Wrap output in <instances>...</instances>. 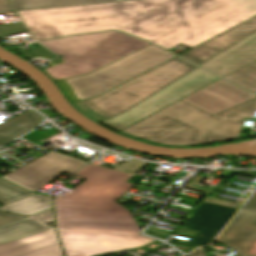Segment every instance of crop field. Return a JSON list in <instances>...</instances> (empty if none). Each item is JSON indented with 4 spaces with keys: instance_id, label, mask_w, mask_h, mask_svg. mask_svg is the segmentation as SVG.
<instances>
[{
    "instance_id": "obj_26",
    "label": "crop field",
    "mask_w": 256,
    "mask_h": 256,
    "mask_svg": "<svg viewBox=\"0 0 256 256\" xmlns=\"http://www.w3.org/2000/svg\"><path fill=\"white\" fill-rule=\"evenodd\" d=\"M10 6L7 0H0V14L10 12Z\"/></svg>"
},
{
    "instance_id": "obj_12",
    "label": "crop field",
    "mask_w": 256,
    "mask_h": 256,
    "mask_svg": "<svg viewBox=\"0 0 256 256\" xmlns=\"http://www.w3.org/2000/svg\"><path fill=\"white\" fill-rule=\"evenodd\" d=\"M237 211L236 208L203 203L185 225L200 231L194 237V244L211 243Z\"/></svg>"
},
{
    "instance_id": "obj_18",
    "label": "crop field",
    "mask_w": 256,
    "mask_h": 256,
    "mask_svg": "<svg viewBox=\"0 0 256 256\" xmlns=\"http://www.w3.org/2000/svg\"><path fill=\"white\" fill-rule=\"evenodd\" d=\"M224 78L252 92L256 91V61Z\"/></svg>"
},
{
    "instance_id": "obj_14",
    "label": "crop field",
    "mask_w": 256,
    "mask_h": 256,
    "mask_svg": "<svg viewBox=\"0 0 256 256\" xmlns=\"http://www.w3.org/2000/svg\"><path fill=\"white\" fill-rule=\"evenodd\" d=\"M256 60V32L200 65L222 77Z\"/></svg>"
},
{
    "instance_id": "obj_2",
    "label": "crop field",
    "mask_w": 256,
    "mask_h": 256,
    "mask_svg": "<svg viewBox=\"0 0 256 256\" xmlns=\"http://www.w3.org/2000/svg\"><path fill=\"white\" fill-rule=\"evenodd\" d=\"M75 176L86 181L54 200L67 256H95L154 241L139 236L133 217L114 202L133 186L125 183L132 175L88 164Z\"/></svg>"
},
{
    "instance_id": "obj_8",
    "label": "crop field",
    "mask_w": 256,
    "mask_h": 256,
    "mask_svg": "<svg viewBox=\"0 0 256 256\" xmlns=\"http://www.w3.org/2000/svg\"><path fill=\"white\" fill-rule=\"evenodd\" d=\"M0 256H63L55 232L32 219L0 228Z\"/></svg>"
},
{
    "instance_id": "obj_3",
    "label": "crop field",
    "mask_w": 256,
    "mask_h": 256,
    "mask_svg": "<svg viewBox=\"0 0 256 256\" xmlns=\"http://www.w3.org/2000/svg\"><path fill=\"white\" fill-rule=\"evenodd\" d=\"M255 110L256 98L214 116L180 100L121 132L166 146L211 144L236 139Z\"/></svg>"
},
{
    "instance_id": "obj_25",
    "label": "crop field",
    "mask_w": 256,
    "mask_h": 256,
    "mask_svg": "<svg viewBox=\"0 0 256 256\" xmlns=\"http://www.w3.org/2000/svg\"><path fill=\"white\" fill-rule=\"evenodd\" d=\"M204 202H210V203H215V204H221V205H226V206H231V207H236L239 208L240 205L234 204V203H229V202H224L220 200H215V199H207Z\"/></svg>"
},
{
    "instance_id": "obj_22",
    "label": "crop field",
    "mask_w": 256,
    "mask_h": 256,
    "mask_svg": "<svg viewBox=\"0 0 256 256\" xmlns=\"http://www.w3.org/2000/svg\"><path fill=\"white\" fill-rule=\"evenodd\" d=\"M59 88L62 92L68 97L69 101L74 102L78 101L79 99L74 95L70 85L66 83L64 80L57 81Z\"/></svg>"
},
{
    "instance_id": "obj_1",
    "label": "crop field",
    "mask_w": 256,
    "mask_h": 256,
    "mask_svg": "<svg viewBox=\"0 0 256 256\" xmlns=\"http://www.w3.org/2000/svg\"><path fill=\"white\" fill-rule=\"evenodd\" d=\"M37 40L121 30L190 48L256 15V0H137L17 12Z\"/></svg>"
},
{
    "instance_id": "obj_9",
    "label": "crop field",
    "mask_w": 256,
    "mask_h": 256,
    "mask_svg": "<svg viewBox=\"0 0 256 256\" xmlns=\"http://www.w3.org/2000/svg\"><path fill=\"white\" fill-rule=\"evenodd\" d=\"M84 164L85 162L51 151L1 178L25 190L36 192L47 182L63 173H74Z\"/></svg>"
},
{
    "instance_id": "obj_5",
    "label": "crop field",
    "mask_w": 256,
    "mask_h": 256,
    "mask_svg": "<svg viewBox=\"0 0 256 256\" xmlns=\"http://www.w3.org/2000/svg\"><path fill=\"white\" fill-rule=\"evenodd\" d=\"M195 67L176 57L101 96L73 104L93 120L102 122L137 105Z\"/></svg>"
},
{
    "instance_id": "obj_27",
    "label": "crop field",
    "mask_w": 256,
    "mask_h": 256,
    "mask_svg": "<svg viewBox=\"0 0 256 256\" xmlns=\"http://www.w3.org/2000/svg\"><path fill=\"white\" fill-rule=\"evenodd\" d=\"M250 253H251V254H256V245L254 246V248L251 250Z\"/></svg>"
},
{
    "instance_id": "obj_15",
    "label": "crop field",
    "mask_w": 256,
    "mask_h": 256,
    "mask_svg": "<svg viewBox=\"0 0 256 256\" xmlns=\"http://www.w3.org/2000/svg\"><path fill=\"white\" fill-rule=\"evenodd\" d=\"M41 122H42V120H40L35 113L28 111L12 120L0 125V145L10 141L14 137H16L26 131L34 128Z\"/></svg>"
},
{
    "instance_id": "obj_16",
    "label": "crop field",
    "mask_w": 256,
    "mask_h": 256,
    "mask_svg": "<svg viewBox=\"0 0 256 256\" xmlns=\"http://www.w3.org/2000/svg\"><path fill=\"white\" fill-rule=\"evenodd\" d=\"M127 0H12L16 11Z\"/></svg>"
},
{
    "instance_id": "obj_20",
    "label": "crop field",
    "mask_w": 256,
    "mask_h": 256,
    "mask_svg": "<svg viewBox=\"0 0 256 256\" xmlns=\"http://www.w3.org/2000/svg\"><path fill=\"white\" fill-rule=\"evenodd\" d=\"M203 177L204 175L197 174V176L194 179H192L188 184H186L184 187L208 194L214 188H209L203 185H199L198 183L203 179Z\"/></svg>"
},
{
    "instance_id": "obj_6",
    "label": "crop field",
    "mask_w": 256,
    "mask_h": 256,
    "mask_svg": "<svg viewBox=\"0 0 256 256\" xmlns=\"http://www.w3.org/2000/svg\"><path fill=\"white\" fill-rule=\"evenodd\" d=\"M176 56L153 45L134 52L90 74L69 79L76 96L89 99L101 95Z\"/></svg>"
},
{
    "instance_id": "obj_4",
    "label": "crop field",
    "mask_w": 256,
    "mask_h": 256,
    "mask_svg": "<svg viewBox=\"0 0 256 256\" xmlns=\"http://www.w3.org/2000/svg\"><path fill=\"white\" fill-rule=\"evenodd\" d=\"M40 44L64 56L65 63L44 69L54 81L92 72L150 45L118 32L55 39Z\"/></svg>"
},
{
    "instance_id": "obj_11",
    "label": "crop field",
    "mask_w": 256,
    "mask_h": 256,
    "mask_svg": "<svg viewBox=\"0 0 256 256\" xmlns=\"http://www.w3.org/2000/svg\"><path fill=\"white\" fill-rule=\"evenodd\" d=\"M255 97L221 79L182 100L214 115Z\"/></svg>"
},
{
    "instance_id": "obj_24",
    "label": "crop field",
    "mask_w": 256,
    "mask_h": 256,
    "mask_svg": "<svg viewBox=\"0 0 256 256\" xmlns=\"http://www.w3.org/2000/svg\"><path fill=\"white\" fill-rule=\"evenodd\" d=\"M33 219H36L42 223H45V222H49V221H53V209L48 211V212H45V213H42V214H39V215H35L32 217Z\"/></svg>"
},
{
    "instance_id": "obj_23",
    "label": "crop field",
    "mask_w": 256,
    "mask_h": 256,
    "mask_svg": "<svg viewBox=\"0 0 256 256\" xmlns=\"http://www.w3.org/2000/svg\"><path fill=\"white\" fill-rule=\"evenodd\" d=\"M23 218H26L24 216H18V215H13L5 212H0V226L21 220Z\"/></svg>"
},
{
    "instance_id": "obj_10",
    "label": "crop field",
    "mask_w": 256,
    "mask_h": 256,
    "mask_svg": "<svg viewBox=\"0 0 256 256\" xmlns=\"http://www.w3.org/2000/svg\"><path fill=\"white\" fill-rule=\"evenodd\" d=\"M217 240L236 249V256H256L248 254L256 243V193ZM188 256H203V251L198 249Z\"/></svg>"
},
{
    "instance_id": "obj_13",
    "label": "crop field",
    "mask_w": 256,
    "mask_h": 256,
    "mask_svg": "<svg viewBox=\"0 0 256 256\" xmlns=\"http://www.w3.org/2000/svg\"><path fill=\"white\" fill-rule=\"evenodd\" d=\"M255 31L256 16L181 54L180 56L200 65Z\"/></svg>"
},
{
    "instance_id": "obj_7",
    "label": "crop field",
    "mask_w": 256,
    "mask_h": 256,
    "mask_svg": "<svg viewBox=\"0 0 256 256\" xmlns=\"http://www.w3.org/2000/svg\"><path fill=\"white\" fill-rule=\"evenodd\" d=\"M220 79L197 67L125 113L102 122L120 131Z\"/></svg>"
},
{
    "instance_id": "obj_17",
    "label": "crop field",
    "mask_w": 256,
    "mask_h": 256,
    "mask_svg": "<svg viewBox=\"0 0 256 256\" xmlns=\"http://www.w3.org/2000/svg\"><path fill=\"white\" fill-rule=\"evenodd\" d=\"M49 207V198L47 196L36 194L28 198L2 206L0 207V210L31 215L46 210Z\"/></svg>"
},
{
    "instance_id": "obj_19",
    "label": "crop field",
    "mask_w": 256,
    "mask_h": 256,
    "mask_svg": "<svg viewBox=\"0 0 256 256\" xmlns=\"http://www.w3.org/2000/svg\"><path fill=\"white\" fill-rule=\"evenodd\" d=\"M30 195H33V193L26 192L0 179V204L5 205Z\"/></svg>"
},
{
    "instance_id": "obj_21",
    "label": "crop field",
    "mask_w": 256,
    "mask_h": 256,
    "mask_svg": "<svg viewBox=\"0 0 256 256\" xmlns=\"http://www.w3.org/2000/svg\"><path fill=\"white\" fill-rule=\"evenodd\" d=\"M21 31H25V28L21 23L0 25V37L6 34L21 32Z\"/></svg>"
}]
</instances>
